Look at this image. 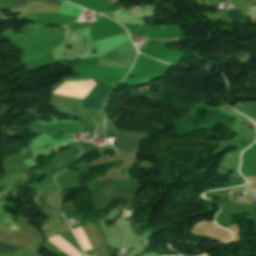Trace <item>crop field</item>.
Returning <instances> with one entry per match:
<instances>
[{
  "label": "crop field",
  "mask_w": 256,
  "mask_h": 256,
  "mask_svg": "<svg viewBox=\"0 0 256 256\" xmlns=\"http://www.w3.org/2000/svg\"><path fill=\"white\" fill-rule=\"evenodd\" d=\"M123 153V152H120V154Z\"/></svg>",
  "instance_id": "obj_11"
},
{
  "label": "crop field",
  "mask_w": 256,
  "mask_h": 256,
  "mask_svg": "<svg viewBox=\"0 0 256 256\" xmlns=\"http://www.w3.org/2000/svg\"><path fill=\"white\" fill-rule=\"evenodd\" d=\"M77 38V31H68V35L64 44H74Z\"/></svg>",
  "instance_id": "obj_8"
},
{
  "label": "crop field",
  "mask_w": 256,
  "mask_h": 256,
  "mask_svg": "<svg viewBox=\"0 0 256 256\" xmlns=\"http://www.w3.org/2000/svg\"><path fill=\"white\" fill-rule=\"evenodd\" d=\"M114 86L97 82L82 98L83 107L99 109L103 99Z\"/></svg>",
  "instance_id": "obj_2"
},
{
  "label": "crop field",
  "mask_w": 256,
  "mask_h": 256,
  "mask_svg": "<svg viewBox=\"0 0 256 256\" xmlns=\"http://www.w3.org/2000/svg\"><path fill=\"white\" fill-rule=\"evenodd\" d=\"M60 237L63 238L67 243H69L73 248H75L79 253H81L84 256V254H83L78 242L76 241L75 237L73 236L72 232L62 234V235H60Z\"/></svg>",
  "instance_id": "obj_5"
},
{
  "label": "crop field",
  "mask_w": 256,
  "mask_h": 256,
  "mask_svg": "<svg viewBox=\"0 0 256 256\" xmlns=\"http://www.w3.org/2000/svg\"><path fill=\"white\" fill-rule=\"evenodd\" d=\"M64 28H67L68 27V25H62Z\"/></svg>",
  "instance_id": "obj_9"
},
{
  "label": "crop field",
  "mask_w": 256,
  "mask_h": 256,
  "mask_svg": "<svg viewBox=\"0 0 256 256\" xmlns=\"http://www.w3.org/2000/svg\"><path fill=\"white\" fill-rule=\"evenodd\" d=\"M30 1H33V0H13V2L11 4L12 10H14ZM40 1L47 3V4L55 5V6H60L61 2H62L61 0H40Z\"/></svg>",
  "instance_id": "obj_4"
},
{
  "label": "crop field",
  "mask_w": 256,
  "mask_h": 256,
  "mask_svg": "<svg viewBox=\"0 0 256 256\" xmlns=\"http://www.w3.org/2000/svg\"><path fill=\"white\" fill-rule=\"evenodd\" d=\"M217 1H218V0H217ZM219 1L222 2V1H224V0H219ZM219 1H218V2H219Z\"/></svg>",
  "instance_id": "obj_10"
},
{
  "label": "crop field",
  "mask_w": 256,
  "mask_h": 256,
  "mask_svg": "<svg viewBox=\"0 0 256 256\" xmlns=\"http://www.w3.org/2000/svg\"><path fill=\"white\" fill-rule=\"evenodd\" d=\"M115 129L117 131L118 137L114 139V142L112 145H114L121 151H126V152L131 153L138 146L141 135L127 133V132H125L121 129H118L116 127H115ZM117 148H115V149H117Z\"/></svg>",
  "instance_id": "obj_3"
},
{
  "label": "crop field",
  "mask_w": 256,
  "mask_h": 256,
  "mask_svg": "<svg viewBox=\"0 0 256 256\" xmlns=\"http://www.w3.org/2000/svg\"><path fill=\"white\" fill-rule=\"evenodd\" d=\"M230 17V19L237 21L239 23H245L246 19L248 16L241 14L238 10L234 9V10H230L227 13Z\"/></svg>",
  "instance_id": "obj_6"
},
{
  "label": "crop field",
  "mask_w": 256,
  "mask_h": 256,
  "mask_svg": "<svg viewBox=\"0 0 256 256\" xmlns=\"http://www.w3.org/2000/svg\"><path fill=\"white\" fill-rule=\"evenodd\" d=\"M137 51L131 41L125 42L100 56L99 65L129 68Z\"/></svg>",
  "instance_id": "obj_1"
},
{
  "label": "crop field",
  "mask_w": 256,
  "mask_h": 256,
  "mask_svg": "<svg viewBox=\"0 0 256 256\" xmlns=\"http://www.w3.org/2000/svg\"><path fill=\"white\" fill-rule=\"evenodd\" d=\"M18 247L0 242V255L17 251Z\"/></svg>",
  "instance_id": "obj_7"
}]
</instances>
